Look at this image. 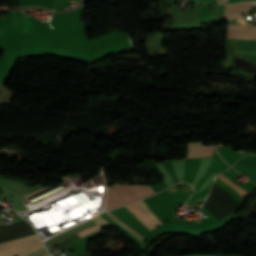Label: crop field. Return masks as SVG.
Returning <instances> with one entry per match:
<instances>
[{"instance_id":"1","label":"crop field","mask_w":256,"mask_h":256,"mask_svg":"<svg viewBox=\"0 0 256 256\" xmlns=\"http://www.w3.org/2000/svg\"><path fill=\"white\" fill-rule=\"evenodd\" d=\"M42 246L37 234L0 244V256H22Z\"/></svg>"},{"instance_id":"2","label":"crop field","mask_w":256,"mask_h":256,"mask_svg":"<svg viewBox=\"0 0 256 256\" xmlns=\"http://www.w3.org/2000/svg\"><path fill=\"white\" fill-rule=\"evenodd\" d=\"M113 193H112V191ZM136 201L141 199L140 196L129 185H111L107 191L106 207L108 210L119 207L123 204L133 202L131 198ZM121 200V201H120Z\"/></svg>"},{"instance_id":"3","label":"crop field","mask_w":256,"mask_h":256,"mask_svg":"<svg viewBox=\"0 0 256 256\" xmlns=\"http://www.w3.org/2000/svg\"><path fill=\"white\" fill-rule=\"evenodd\" d=\"M226 39L256 40V26L228 25Z\"/></svg>"},{"instance_id":"4","label":"crop field","mask_w":256,"mask_h":256,"mask_svg":"<svg viewBox=\"0 0 256 256\" xmlns=\"http://www.w3.org/2000/svg\"><path fill=\"white\" fill-rule=\"evenodd\" d=\"M255 2H242L237 4L226 5L224 21L237 18L250 11Z\"/></svg>"},{"instance_id":"5","label":"crop field","mask_w":256,"mask_h":256,"mask_svg":"<svg viewBox=\"0 0 256 256\" xmlns=\"http://www.w3.org/2000/svg\"><path fill=\"white\" fill-rule=\"evenodd\" d=\"M129 211H131L147 228L152 230L153 228L157 227L148 217L147 215L141 210V208L136 205L135 203L129 204L125 206Z\"/></svg>"},{"instance_id":"6","label":"crop field","mask_w":256,"mask_h":256,"mask_svg":"<svg viewBox=\"0 0 256 256\" xmlns=\"http://www.w3.org/2000/svg\"><path fill=\"white\" fill-rule=\"evenodd\" d=\"M204 146L186 144V158L200 157Z\"/></svg>"},{"instance_id":"7","label":"crop field","mask_w":256,"mask_h":256,"mask_svg":"<svg viewBox=\"0 0 256 256\" xmlns=\"http://www.w3.org/2000/svg\"><path fill=\"white\" fill-rule=\"evenodd\" d=\"M142 198L152 195L155 192L149 185H130Z\"/></svg>"},{"instance_id":"8","label":"crop field","mask_w":256,"mask_h":256,"mask_svg":"<svg viewBox=\"0 0 256 256\" xmlns=\"http://www.w3.org/2000/svg\"><path fill=\"white\" fill-rule=\"evenodd\" d=\"M220 180L227 183L230 187H232L237 193H239L242 197L248 195L244 190H242L240 187H238L235 183H233L231 180H229L227 177H225L223 174L219 173L218 177ZM249 196V195H248Z\"/></svg>"},{"instance_id":"9","label":"crop field","mask_w":256,"mask_h":256,"mask_svg":"<svg viewBox=\"0 0 256 256\" xmlns=\"http://www.w3.org/2000/svg\"><path fill=\"white\" fill-rule=\"evenodd\" d=\"M137 204L150 216V218L155 222H159L156 216L151 212V210L147 207L143 200L137 202Z\"/></svg>"},{"instance_id":"10","label":"crop field","mask_w":256,"mask_h":256,"mask_svg":"<svg viewBox=\"0 0 256 256\" xmlns=\"http://www.w3.org/2000/svg\"><path fill=\"white\" fill-rule=\"evenodd\" d=\"M79 236L76 234L68 239H66L65 241H63L61 244H59L58 246L61 247L62 249L65 248L66 246H68L70 243H72L74 240L78 239Z\"/></svg>"},{"instance_id":"11","label":"crop field","mask_w":256,"mask_h":256,"mask_svg":"<svg viewBox=\"0 0 256 256\" xmlns=\"http://www.w3.org/2000/svg\"><path fill=\"white\" fill-rule=\"evenodd\" d=\"M99 229H100V228L98 227V225H95V226H93V227H91V228H89V229H87V230H84V231L78 233V235H79L80 237H82V236H84V235H87V234L92 233V232H94V231H97V230H99Z\"/></svg>"},{"instance_id":"12","label":"crop field","mask_w":256,"mask_h":256,"mask_svg":"<svg viewBox=\"0 0 256 256\" xmlns=\"http://www.w3.org/2000/svg\"><path fill=\"white\" fill-rule=\"evenodd\" d=\"M94 222H96L100 228H103L105 226H111L108 223H106L104 220H102L99 216L92 218Z\"/></svg>"},{"instance_id":"13","label":"crop field","mask_w":256,"mask_h":256,"mask_svg":"<svg viewBox=\"0 0 256 256\" xmlns=\"http://www.w3.org/2000/svg\"><path fill=\"white\" fill-rule=\"evenodd\" d=\"M213 150H214L213 147L205 146L204 152H203V156H202V157L211 155L212 152H213Z\"/></svg>"},{"instance_id":"14","label":"crop field","mask_w":256,"mask_h":256,"mask_svg":"<svg viewBox=\"0 0 256 256\" xmlns=\"http://www.w3.org/2000/svg\"><path fill=\"white\" fill-rule=\"evenodd\" d=\"M216 3H227V0H217Z\"/></svg>"},{"instance_id":"15","label":"crop field","mask_w":256,"mask_h":256,"mask_svg":"<svg viewBox=\"0 0 256 256\" xmlns=\"http://www.w3.org/2000/svg\"><path fill=\"white\" fill-rule=\"evenodd\" d=\"M187 256H214V255H187Z\"/></svg>"},{"instance_id":"16","label":"crop field","mask_w":256,"mask_h":256,"mask_svg":"<svg viewBox=\"0 0 256 256\" xmlns=\"http://www.w3.org/2000/svg\"><path fill=\"white\" fill-rule=\"evenodd\" d=\"M84 256H92V254L87 252Z\"/></svg>"},{"instance_id":"17","label":"crop field","mask_w":256,"mask_h":256,"mask_svg":"<svg viewBox=\"0 0 256 256\" xmlns=\"http://www.w3.org/2000/svg\"><path fill=\"white\" fill-rule=\"evenodd\" d=\"M44 256H49L48 254L44 255Z\"/></svg>"}]
</instances>
